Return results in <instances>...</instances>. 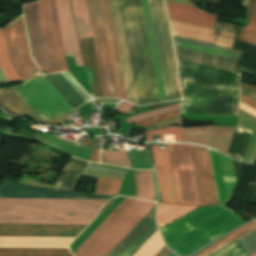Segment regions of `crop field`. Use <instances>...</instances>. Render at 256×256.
Segmentation results:
<instances>
[{"label": "crop field", "mask_w": 256, "mask_h": 256, "mask_svg": "<svg viewBox=\"0 0 256 256\" xmlns=\"http://www.w3.org/2000/svg\"><path fill=\"white\" fill-rule=\"evenodd\" d=\"M120 5L137 87L139 103L140 105H143L149 103H156L159 102V100L160 102L165 101L166 98L147 0H141V6L150 47L159 100L140 6V0H120Z\"/></svg>", "instance_id": "8a807250"}, {"label": "crop field", "mask_w": 256, "mask_h": 256, "mask_svg": "<svg viewBox=\"0 0 256 256\" xmlns=\"http://www.w3.org/2000/svg\"><path fill=\"white\" fill-rule=\"evenodd\" d=\"M106 201L0 198V224L88 225Z\"/></svg>", "instance_id": "ac0d7876"}, {"label": "crop field", "mask_w": 256, "mask_h": 256, "mask_svg": "<svg viewBox=\"0 0 256 256\" xmlns=\"http://www.w3.org/2000/svg\"><path fill=\"white\" fill-rule=\"evenodd\" d=\"M244 223L234 211L213 206L201 207L160 230L169 248L187 256Z\"/></svg>", "instance_id": "34b2d1b8"}, {"label": "crop field", "mask_w": 256, "mask_h": 256, "mask_svg": "<svg viewBox=\"0 0 256 256\" xmlns=\"http://www.w3.org/2000/svg\"><path fill=\"white\" fill-rule=\"evenodd\" d=\"M206 205H219L208 149L193 146ZM192 146L170 145L168 153L178 201L205 205Z\"/></svg>", "instance_id": "412701ff"}, {"label": "crop field", "mask_w": 256, "mask_h": 256, "mask_svg": "<svg viewBox=\"0 0 256 256\" xmlns=\"http://www.w3.org/2000/svg\"><path fill=\"white\" fill-rule=\"evenodd\" d=\"M33 53L39 69L67 70L54 0L24 5Z\"/></svg>", "instance_id": "f4fd0767"}, {"label": "crop field", "mask_w": 256, "mask_h": 256, "mask_svg": "<svg viewBox=\"0 0 256 256\" xmlns=\"http://www.w3.org/2000/svg\"><path fill=\"white\" fill-rule=\"evenodd\" d=\"M63 74L71 84L87 100H89V97L71 76L68 73ZM64 76L62 73H57L46 75L45 77L73 107L77 108L87 102V100ZM45 77L42 76L30 80L14 89L41 119L49 120L75 109L64 100Z\"/></svg>", "instance_id": "dd49c442"}, {"label": "crop field", "mask_w": 256, "mask_h": 256, "mask_svg": "<svg viewBox=\"0 0 256 256\" xmlns=\"http://www.w3.org/2000/svg\"><path fill=\"white\" fill-rule=\"evenodd\" d=\"M118 96L137 103L118 0H100Z\"/></svg>", "instance_id": "e52e79f7"}, {"label": "crop field", "mask_w": 256, "mask_h": 256, "mask_svg": "<svg viewBox=\"0 0 256 256\" xmlns=\"http://www.w3.org/2000/svg\"><path fill=\"white\" fill-rule=\"evenodd\" d=\"M3 31L10 59L21 80H27L40 75L29 54L23 17L3 29ZM3 31L0 29V66L7 81H17L20 79L10 62Z\"/></svg>", "instance_id": "d8731c3e"}, {"label": "crop field", "mask_w": 256, "mask_h": 256, "mask_svg": "<svg viewBox=\"0 0 256 256\" xmlns=\"http://www.w3.org/2000/svg\"><path fill=\"white\" fill-rule=\"evenodd\" d=\"M154 205L133 199L80 256H107Z\"/></svg>", "instance_id": "5a996713"}, {"label": "crop field", "mask_w": 256, "mask_h": 256, "mask_svg": "<svg viewBox=\"0 0 256 256\" xmlns=\"http://www.w3.org/2000/svg\"><path fill=\"white\" fill-rule=\"evenodd\" d=\"M167 100L181 98L162 0H148Z\"/></svg>", "instance_id": "3316defc"}, {"label": "crop field", "mask_w": 256, "mask_h": 256, "mask_svg": "<svg viewBox=\"0 0 256 256\" xmlns=\"http://www.w3.org/2000/svg\"><path fill=\"white\" fill-rule=\"evenodd\" d=\"M105 97L118 98L99 0H86Z\"/></svg>", "instance_id": "28ad6ade"}, {"label": "crop field", "mask_w": 256, "mask_h": 256, "mask_svg": "<svg viewBox=\"0 0 256 256\" xmlns=\"http://www.w3.org/2000/svg\"><path fill=\"white\" fill-rule=\"evenodd\" d=\"M173 39H174V45H175L177 59L192 62V63H197V64H201V65L211 66V67H215V68H220V69H224V70H229V71H233V72L236 71V68H237L241 53H242L241 51H237V50L226 48V47L216 46V45H212V44L202 43V42H198V41H193V40H189V39L179 38V37H175V36H173ZM175 41L228 52V53L239 56V58L229 56L231 54L223 55V54H219V53H223V52L176 42L177 45H179V46L209 51V52L219 54V55L211 54L209 52L179 47V46H176ZM224 54H227V53H224Z\"/></svg>", "instance_id": "d1516ede"}, {"label": "crop field", "mask_w": 256, "mask_h": 256, "mask_svg": "<svg viewBox=\"0 0 256 256\" xmlns=\"http://www.w3.org/2000/svg\"><path fill=\"white\" fill-rule=\"evenodd\" d=\"M116 196L117 195H99L56 191L48 188L25 185L8 180H5L0 187V197L112 199Z\"/></svg>", "instance_id": "22f410ed"}, {"label": "crop field", "mask_w": 256, "mask_h": 256, "mask_svg": "<svg viewBox=\"0 0 256 256\" xmlns=\"http://www.w3.org/2000/svg\"><path fill=\"white\" fill-rule=\"evenodd\" d=\"M66 56L75 57L78 66H84L80 55L78 39L70 0H55Z\"/></svg>", "instance_id": "cbeb9de0"}, {"label": "crop field", "mask_w": 256, "mask_h": 256, "mask_svg": "<svg viewBox=\"0 0 256 256\" xmlns=\"http://www.w3.org/2000/svg\"><path fill=\"white\" fill-rule=\"evenodd\" d=\"M84 227L0 225V236L76 237Z\"/></svg>", "instance_id": "5142ce71"}, {"label": "crop field", "mask_w": 256, "mask_h": 256, "mask_svg": "<svg viewBox=\"0 0 256 256\" xmlns=\"http://www.w3.org/2000/svg\"><path fill=\"white\" fill-rule=\"evenodd\" d=\"M171 22L172 33L175 36L203 41L232 48L236 35L216 30H210L176 21Z\"/></svg>", "instance_id": "d9b57169"}, {"label": "crop field", "mask_w": 256, "mask_h": 256, "mask_svg": "<svg viewBox=\"0 0 256 256\" xmlns=\"http://www.w3.org/2000/svg\"><path fill=\"white\" fill-rule=\"evenodd\" d=\"M210 156L217 187L220 205H224L232 196V189L236 184L232 160H229L211 150Z\"/></svg>", "instance_id": "733c2abd"}, {"label": "crop field", "mask_w": 256, "mask_h": 256, "mask_svg": "<svg viewBox=\"0 0 256 256\" xmlns=\"http://www.w3.org/2000/svg\"><path fill=\"white\" fill-rule=\"evenodd\" d=\"M153 154L162 194L163 201L175 202L177 201L176 191L174 187L171 167L169 163L167 151H159L158 146H153Z\"/></svg>", "instance_id": "4a817a6b"}, {"label": "crop field", "mask_w": 256, "mask_h": 256, "mask_svg": "<svg viewBox=\"0 0 256 256\" xmlns=\"http://www.w3.org/2000/svg\"><path fill=\"white\" fill-rule=\"evenodd\" d=\"M166 4L169 17L172 20L213 28L217 19V17L195 7L168 2Z\"/></svg>", "instance_id": "bc2a9ffb"}, {"label": "crop field", "mask_w": 256, "mask_h": 256, "mask_svg": "<svg viewBox=\"0 0 256 256\" xmlns=\"http://www.w3.org/2000/svg\"><path fill=\"white\" fill-rule=\"evenodd\" d=\"M74 238L0 237V246L68 247Z\"/></svg>", "instance_id": "214f88e0"}, {"label": "crop field", "mask_w": 256, "mask_h": 256, "mask_svg": "<svg viewBox=\"0 0 256 256\" xmlns=\"http://www.w3.org/2000/svg\"><path fill=\"white\" fill-rule=\"evenodd\" d=\"M88 163L72 158L58 179L54 189L75 192L79 180L86 169Z\"/></svg>", "instance_id": "92a150f3"}, {"label": "crop field", "mask_w": 256, "mask_h": 256, "mask_svg": "<svg viewBox=\"0 0 256 256\" xmlns=\"http://www.w3.org/2000/svg\"><path fill=\"white\" fill-rule=\"evenodd\" d=\"M80 46L82 50L83 60L85 66H92L93 69V85H92V93L93 96H101L103 95L94 45L92 38L79 39Z\"/></svg>", "instance_id": "dafd665d"}, {"label": "crop field", "mask_w": 256, "mask_h": 256, "mask_svg": "<svg viewBox=\"0 0 256 256\" xmlns=\"http://www.w3.org/2000/svg\"><path fill=\"white\" fill-rule=\"evenodd\" d=\"M179 111H175V112L155 116V117L145 119V120L135 122V123H137L140 126L146 128V127H149L151 125L157 124L159 122H163V121H166V120L173 119V118L177 117ZM183 130L184 129L178 128L176 126L161 129L160 130V141H166L165 135H175V141L180 142L182 134H183ZM152 134L159 135V130L146 133L147 141H152Z\"/></svg>", "instance_id": "00972430"}, {"label": "crop field", "mask_w": 256, "mask_h": 256, "mask_svg": "<svg viewBox=\"0 0 256 256\" xmlns=\"http://www.w3.org/2000/svg\"><path fill=\"white\" fill-rule=\"evenodd\" d=\"M0 101L9 109V112L13 114L23 116L22 114L32 111V109L13 88L0 89ZM1 102L0 105L4 107Z\"/></svg>", "instance_id": "a9b5d70f"}, {"label": "crop field", "mask_w": 256, "mask_h": 256, "mask_svg": "<svg viewBox=\"0 0 256 256\" xmlns=\"http://www.w3.org/2000/svg\"><path fill=\"white\" fill-rule=\"evenodd\" d=\"M138 174H135V180L137 183V194L136 198L139 199H145V200H151L153 201V195H154V184H155V196L154 201L156 202V195H157V184L154 176V172L150 171H143V170H137Z\"/></svg>", "instance_id": "4177f3b9"}, {"label": "crop field", "mask_w": 256, "mask_h": 256, "mask_svg": "<svg viewBox=\"0 0 256 256\" xmlns=\"http://www.w3.org/2000/svg\"><path fill=\"white\" fill-rule=\"evenodd\" d=\"M0 256H73L68 249L0 248Z\"/></svg>", "instance_id": "730fd06b"}, {"label": "crop field", "mask_w": 256, "mask_h": 256, "mask_svg": "<svg viewBox=\"0 0 256 256\" xmlns=\"http://www.w3.org/2000/svg\"><path fill=\"white\" fill-rule=\"evenodd\" d=\"M196 208L198 207L167 204L157 209V224L160 228Z\"/></svg>", "instance_id": "eef30255"}, {"label": "crop field", "mask_w": 256, "mask_h": 256, "mask_svg": "<svg viewBox=\"0 0 256 256\" xmlns=\"http://www.w3.org/2000/svg\"><path fill=\"white\" fill-rule=\"evenodd\" d=\"M72 4L79 38L92 37L85 1L72 0Z\"/></svg>", "instance_id": "ae1a2a85"}, {"label": "crop field", "mask_w": 256, "mask_h": 256, "mask_svg": "<svg viewBox=\"0 0 256 256\" xmlns=\"http://www.w3.org/2000/svg\"><path fill=\"white\" fill-rule=\"evenodd\" d=\"M164 246L157 230L133 256H155Z\"/></svg>", "instance_id": "d3111659"}, {"label": "crop field", "mask_w": 256, "mask_h": 256, "mask_svg": "<svg viewBox=\"0 0 256 256\" xmlns=\"http://www.w3.org/2000/svg\"><path fill=\"white\" fill-rule=\"evenodd\" d=\"M101 163L132 168L124 150L101 153Z\"/></svg>", "instance_id": "750c4746"}, {"label": "crop field", "mask_w": 256, "mask_h": 256, "mask_svg": "<svg viewBox=\"0 0 256 256\" xmlns=\"http://www.w3.org/2000/svg\"><path fill=\"white\" fill-rule=\"evenodd\" d=\"M121 184H122L121 180L98 178L93 193L117 194L120 189Z\"/></svg>", "instance_id": "bd1437ed"}, {"label": "crop field", "mask_w": 256, "mask_h": 256, "mask_svg": "<svg viewBox=\"0 0 256 256\" xmlns=\"http://www.w3.org/2000/svg\"><path fill=\"white\" fill-rule=\"evenodd\" d=\"M256 224V222H252L250 224H248L247 226L241 228L240 230L236 231L235 233L231 234L230 236L226 237L225 239L219 241L218 243L214 244L213 246L209 247L208 249L202 251L201 253L197 254L196 256H202L205 253L209 252L210 250H212L213 248L217 247L218 245L222 244L223 242L229 240L230 238L234 237L235 235L239 234L240 232L244 231L245 229L251 227L252 225ZM256 225L252 226L251 228L247 229L246 231L240 233L239 235L235 236L234 238L230 239L229 241L225 242L224 244L218 246L217 248L213 249L212 251H210L209 253L205 254L204 256H209L211 254H213L214 252H216L217 250L221 249L222 247L228 245L229 243L233 242L234 240L238 239L239 237L243 236L244 234L250 232L251 230L255 229Z\"/></svg>", "instance_id": "1d83c4d3"}, {"label": "crop field", "mask_w": 256, "mask_h": 256, "mask_svg": "<svg viewBox=\"0 0 256 256\" xmlns=\"http://www.w3.org/2000/svg\"><path fill=\"white\" fill-rule=\"evenodd\" d=\"M181 104L182 103L172 105V106H168V107H164V108H160V109H156V110H152V111L145 112V113H142V114H139V115H135V116H132V117L126 119L125 121L131 124L135 121L142 120V119H145V118H148V117H152V116H155V115H159V114L179 110L181 108Z\"/></svg>", "instance_id": "120bbe31"}, {"label": "crop field", "mask_w": 256, "mask_h": 256, "mask_svg": "<svg viewBox=\"0 0 256 256\" xmlns=\"http://www.w3.org/2000/svg\"><path fill=\"white\" fill-rule=\"evenodd\" d=\"M132 199L127 198L122 205L110 216V218L90 237V239L74 254L79 256L85 248L104 230V228L123 210Z\"/></svg>", "instance_id": "d32e631a"}, {"label": "crop field", "mask_w": 256, "mask_h": 256, "mask_svg": "<svg viewBox=\"0 0 256 256\" xmlns=\"http://www.w3.org/2000/svg\"><path fill=\"white\" fill-rule=\"evenodd\" d=\"M247 18L256 21V1L249 0ZM248 19L246 26L242 30L256 34V22Z\"/></svg>", "instance_id": "5866460e"}, {"label": "crop field", "mask_w": 256, "mask_h": 256, "mask_svg": "<svg viewBox=\"0 0 256 256\" xmlns=\"http://www.w3.org/2000/svg\"><path fill=\"white\" fill-rule=\"evenodd\" d=\"M237 39L256 46V35H254V34L240 30Z\"/></svg>", "instance_id": "028f5c9d"}, {"label": "crop field", "mask_w": 256, "mask_h": 256, "mask_svg": "<svg viewBox=\"0 0 256 256\" xmlns=\"http://www.w3.org/2000/svg\"><path fill=\"white\" fill-rule=\"evenodd\" d=\"M242 94L256 101V87L242 83Z\"/></svg>", "instance_id": "e1f06a70"}, {"label": "crop field", "mask_w": 256, "mask_h": 256, "mask_svg": "<svg viewBox=\"0 0 256 256\" xmlns=\"http://www.w3.org/2000/svg\"><path fill=\"white\" fill-rule=\"evenodd\" d=\"M132 107V104L122 102L116 110H118L119 113H128L130 108Z\"/></svg>", "instance_id": "0bd39190"}, {"label": "crop field", "mask_w": 256, "mask_h": 256, "mask_svg": "<svg viewBox=\"0 0 256 256\" xmlns=\"http://www.w3.org/2000/svg\"><path fill=\"white\" fill-rule=\"evenodd\" d=\"M241 102L253 107L254 109H256V102L247 98L246 96L242 95V98H241Z\"/></svg>", "instance_id": "b80d0937"}, {"label": "crop field", "mask_w": 256, "mask_h": 256, "mask_svg": "<svg viewBox=\"0 0 256 256\" xmlns=\"http://www.w3.org/2000/svg\"><path fill=\"white\" fill-rule=\"evenodd\" d=\"M171 253L165 246L156 256H169Z\"/></svg>", "instance_id": "c035e120"}, {"label": "crop field", "mask_w": 256, "mask_h": 256, "mask_svg": "<svg viewBox=\"0 0 256 256\" xmlns=\"http://www.w3.org/2000/svg\"><path fill=\"white\" fill-rule=\"evenodd\" d=\"M90 161L99 163V153L97 152L96 149H95V151L93 153V156H92Z\"/></svg>", "instance_id": "c21b1889"}, {"label": "crop field", "mask_w": 256, "mask_h": 256, "mask_svg": "<svg viewBox=\"0 0 256 256\" xmlns=\"http://www.w3.org/2000/svg\"><path fill=\"white\" fill-rule=\"evenodd\" d=\"M170 256H176V255L172 253Z\"/></svg>", "instance_id": "03da06ac"}, {"label": "crop field", "mask_w": 256, "mask_h": 256, "mask_svg": "<svg viewBox=\"0 0 256 256\" xmlns=\"http://www.w3.org/2000/svg\"><path fill=\"white\" fill-rule=\"evenodd\" d=\"M251 256H256V253H255V254H253V255H251Z\"/></svg>", "instance_id": "b54c1fbb"}]
</instances>
